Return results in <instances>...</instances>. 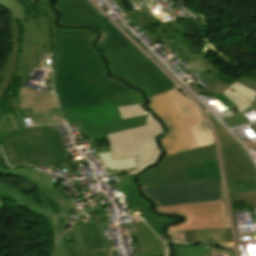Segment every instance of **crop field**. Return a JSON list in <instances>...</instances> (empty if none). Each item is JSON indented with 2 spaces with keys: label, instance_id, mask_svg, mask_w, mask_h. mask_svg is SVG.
I'll list each match as a JSON object with an SVG mask.
<instances>
[{
  "label": "crop field",
  "instance_id": "obj_37",
  "mask_svg": "<svg viewBox=\"0 0 256 256\" xmlns=\"http://www.w3.org/2000/svg\"><path fill=\"white\" fill-rule=\"evenodd\" d=\"M37 1H44V0H37Z\"/></svg>",
  "mask_w": 256,
  "mask_h": 256
},
{
  "label": "crop field",
  "instance_id": "obj_5",
  "mask_svg": "<svg viewBox=\"0 0 256 256\" xmlns=\"http://www.w3.org/2000/svg\"><path fill=\"white\" fill-rule=\"evenodd\" d=\"M118 108L123 119L148 114L141 104ZM161 132L159 122L148 114L145 126L107 135L114 160L137 156V168L128 176L154 164L160 151L154 139Z\"/></svg>",
  "mask_w": 256,
  "mask_h": 256
},
{
  "label": "crop field",
  "instance_id": "obj_30",
  "mask_svg": "<svg viewBox=\"0 0 256 256\" xmlns=\"http://www.w3.org/2000/svg\"><path fill=\"white\" fill-rule=\"evenodd\" d=\"M211 248V254L212 256L219 254V255H226V256H235L234 251L216 247V246H210Z\"/></svg>",
  "mask_w": 256,
  "mask_h": 256
},
{
  "label": "crop field",
  "instance_id": "obj_26",
  "mask_svg": "<svg viewBox=\"0 0 256 256\" xmlns=\"http://www.w3.org/2000/svg\"><path fill=\"white\" fill-rule=\"evenodd\" d=\"M86 249H102L95 224L82 227Z\"/></svg>",
  "mask_w": 256,
  "mask_h": 256
},
{
  "label": "crop field",
  "instance_id": "obj_1",
  "mask_svg": "<svg viewBox=\"0 0 256 256\" xmlns=\"http://www.w3.org/2000/svg\"><path fill=\"white\" fill-rule=\"evenodd\" d=\"M49 3L47 0L38 6L52 24L55 90L62 108L98 104L107 96L141 93L107 76L99 53L91 46L96 33L56 28V14Z\"/></svg>",
  "mask_w": 256,
  "mask_h": 256
},
{
  "label": "crop field",
  "instance_id": "obj_25",
  "mask_svg": "<svg viewBox=\"0 0 256 256\" xmlns=\"http://www.w3.org/2000/svg\"><path fill=\"white\" fill-rule=\"evenodd\" d=\"M176 248V256H211L210 248L206 245H186Z\"/></svg>",
  "mask_w": 256,
  "mask_h": 256
},
{
  "label": "crop field",
  "instance_id": "obj_15",
  "mask_svg": "<svg viewBox=\"0 0 256 256\" xmlns=\"http://www.w3.org/2000/svg\"><path fill=\"white\" fill-rule=\"evenodd\" d=\"M114 190H119L121 194H125V202L127 203L128 208L132 209V207H140L143 218L159 237L163 236L161 229L164 225L178 219L176 217L173 219H168L152 214L151 210L149 209V202L138 195L136 183L115 187Z\"/></svg>",
  "mask_w": 256,
  "mask_h": 256
},
{
  "label": "crop field",
  "instance_id": "obj_19",
  "mask_svg": "<svg viewBox=\"0 0 256 256\" xmlns=\"http://www.w3.org/2000/svg\"><path fill=\"white\" fill-rule=\"evenodd\" d=\"M223 95L227 97L240 112H242L254 102L256 91L236 81L223 93Z\"/></svg>",
  "mask_w": 256,
  "mask_h": 256
},
{
  "label": "crop field",
  "instance_id": "obj_17",
  "mask_svg": "<svg viewBox=\"0 0 256 256\" xmlns=\"http://www.w3.org/2000/svg\"><path fill=\"white\" fill-rule=\"evenodd\" d=\"M215 161H218L216 150L209 152L203 148H199L165 157L157 167L151 168L148 171Z\"/></svg>",
  "mask_w": 256,
  "mask_h": 256
},
{
  "label": "crop field",
  "instance_id": "obj_7",
  "mask_svg": "<svg viewBox=\"0 0 256 256\" xmlns=\"http://www.w3.org/2000/svg\"><path fill=\"white\" fill-rule=\"evenodd\" d=\"M112 74L121 76L133 86L145 88L147 97L176 86L134 45L105 55Z\"/></svg>",
  "mask_w": 256,
  "mask_h": 256
},
{
  "label": "crop field",
  "instance_id": "obj_11",
  "mask_svg": "<svg viewBox=\"0 0 256 256\" xmlns=\"http://www.w3.org/2000/svg\"><path fill=\"white\" fill-rule=\"evenodd\" d=\"M163 213L186 216V221L167 230L230 229L225 200L157 208Z\"/></svg>",
  "mask_w": 256,
  "mask_h": 256
},
{
  "label": "crop field",
  "instance_id": "obj_23",
  "mask_svg": "<svg viewBox=\"0 0 256 256\" xmlns=\"http://www.w3.org/2000/svg\"><path fill=\"white\" fill-rule=\"evenodd\" d=\"M72 234L76 251H69L70 256H98V250H85L82 229L77 222L72 227Z\"/></svg>",
  "mask_w": 256,
  "mask_h": 256
},
{
  "label": "crop field",
  "instance_id": "obj_33",
  "mask_svg": "<svg viewBox=\"0 0 256 256\" xmlns=\"http://www.w3.org/2000/svg\"><path fill=\"white\" fill-rule=\"evenodd\" d=\"M254 129L256 130V124L252 125ZM245 144L248 146L249 149H254L256 148V144L251 145L249 142H245Z\"/></svg>",
  "mask_w": 256,
  "mask_h": 256
},
{
  "label": "crop field",
  "instance_id": "obj_28",
  "mask_svg": "<svg viewBox=\"0 0 256 256\" xmlns=\"http://www.w3.org/2000/svg\"><path fill=\"white\" fill-rule=\"evenodd\" d=\"M18 130H19V128L16 123L15 117L6 113V110L3 115V113L0 109V135L11 133V132H16Z\"/></svg>",
  "mask_w": 256,
  "mask_h": 256
},
{
  "label": "crop field",
  "instance_id": "obj_12",
  "mask_svg": "<svg viewBox=\"0 0 256 256\" xmlns=\"http://www.w3.org/2000/svg\"><path fill=\"white\" fill-rule=\"evenodd\" d=\"M20 177H24L27 181L37 185L38 198L43 201L45 208L52 216L54 224V239L58 240L65 232L64 214L70 213V206L55 186V184L48 178V176L35 169L22 168Z\"/></svg>",
  "mask_w": 256,
  "mask_h": 256
},
{
  "label": "crop field",
  "instance_id": "obj_4",
  "mask_svg": "<svg viewBox=\"0 0 256 256\" xmlns=\"http://www.w3.org/2000/svg\"><path fill=\"white\" fill-rule=\"evenodd\" d=\"M2 148L12 166L54 165L63 162L65 155L56 144L52 126L26 128L0 136Z\"/></svg>",
  "mask_w": 256,
  "mask_h": 256
},
{
  "label": "crop field",
  "instance_id": "obj_14",
  "mask_svg": "<svg viewBox=\"0 0 256 256\" xmlns=\"http://www.w3.org/2000/svg\"><path fill=\"white\" fill-rule=\"evenodd\" d=\"M21 109H30L34 125L55 124L51 107H59L55 95L20 87Z\"/></svg>",
  "mask_w": 256,
  "mask_h": 256
},
{
  "label": "crop field",
  "instance_id": "obj_34",
  "mask_svg": "<svg viewBox=\"0 0 256 256\" xmlns=\"http://www.w3.org/2000/svg\"><path fill=\"white\" fill-rule=\"evenodd\" d=\"M99 256H108L107 249L99 250Z\"/></svg>",
  "mask_w": 256,
  "mask_h": 256
},
{
  "label": "crop field",
  "instance_id": "obj_32",
  "mask_svg": "<svg viewBox=\"0 0 256 256\" xmlns=\"http://www.w3.org/2000/svg\"><path fill=\"white\" fill-rule=\"evenodd\" d=\"M20 169H12V168H9L6 172H4L3 174L5 175H14V176H18L19 177V174H20Z\"/></svg>",
  "mask_w": 256,
  "mask_h": 256
},
{
  "label": "crop field",
  "instance_id": "obj_35",
  "mask_svg": "<svg viewBox=\"0 0 256 256\" xmlns=\"http://www.w3.org/2000/svg\"><path fill=\"white\" fill-rule=\"evenodd\" d=\"M3 208V201L0 200V210Z\"/></svg>",
  "mask_w": 256,
  "mask_h": 256
},
{
  "label": "crop field",
  "instance_id": "obj_20",
  "mask_svg": "<svg viewBox=\"0 0 256 256\" xmlns=\"http://www.w3.org/2000/svg\"><path fill=\"white\" fill-rule=\"evenodd\" d=\"M12 19H13L12 31H13V38H14L13 52L9 57V59L7 60L3 70L0 73V98L3 95V91H5V89L7 88L9 82L11 81L15 73V69L17 66V58L19 55V43H18V37H17L18 27L15 19L14 18Z\"/></svg>",
  "mask_w": 256,
  "mask_h": 256
},
{
  "label": "crop field",
  "instance_id": "obj_9",
  "mask_svg": "<svg viewBox=\"0 0 256 256\" xmlns=\"http://www.w3.org/2000/svg\"><path fill=\"white\" fill-rule=\"evenodd\" d=\"M232 203L256 206V170L237 143L222 149Z\"/></svg>",
  "mask_w": 256,
  "mask_h": 256
},
{
  "label": "crop field",
  "instance_id": "obj_21",
  "mask_svg": "<svg viewBox=\"0 0 256 256\" xmlns=\"http://www.w3.org/2000/svg\"><path fill=\"white\" fill-rule=\"evenodd\" d=\"M184 233L187 242H233L231 230H189Z\"/></svg>",
  "mask_w": 256,
  "mask_h": 256
},
{
  "label": "crop field",
  "instance_id": "obj_16",
  "mask_svg": "<svg viewBox=\"0 0 256 256\" xmlns=\"http://www.w3.org/2000/svg\"><path fill=\"white\" fill-rule=\"evenodd\" d=\"M162 39L158 40L168 46L174 44L179 49L176 50L182 57L187 58L193 54H196L191 45L183 37L187 32L175 21L159 24L150 28ZM161 43V44H162Z\"/></svg>",
  "mask_w": 256,
  "mask_h": 256
},
{
  "label": "crop field",
  "instance_id": "obj_3",
  "mask_svg": "<svg viewBox=\"0 0 256 256\" xmlns=\"http://www.w3.org/2000/svg\"><path fill=\"white\" fill-rule=\"evenodd\" d=\"M103 104L63 109L68 123H80L82 133L90 139L106 138L105 134L145 124L146 117L122 120L117 106L143 103L142 94L102 98ZM78 121V122H77Z\"/></svg>",
  "mask_w": 256,
  "mask_h": 256
},
{
  "label": "crop field",
  "instance_id": "obj_10",
  "mask_svg": "<svg viewBox=\"0 0 256 256\" xmlns=\"http://www.w3.org/2000/svg\"><path fill=\"white\" fill-rule=\"evenodd\" d=\"M143 192L157 207L225 199L222 184L213 180L143 189Z\"/></svg>",
  "mask_w": 256,
  "mask_h": 256
},
{
  "label": "crop field",
  "instance_id": "obj_8",
  "mask_svg": "<svg viewBox=\"0 0 256 256\" xmlns=\"http://www.w3.org/2000/svg\"><path fill=\"white\" fill-rule=\"evenodd\" d=\"M55 7L61 13L59 24L70 26L85 24L101 31L104 37L97 44L104 54L124 46L132 45L87 0H58Z\"/></svg>",
  "mask_w": 256,
  "mask_h": 256
},
{
  "label": "crop field",
  "instance_id": "obj_29",
  "mask_svg": "<svg viewBox=\"0 0 256 256\" xmlns=\"http://www.w3.org/2000/svg\"><path fill=\"white\" fill-rule=\"evenodd\" d=\"M252 108H256V101L254 102V104L249 108L247 109L246 111L244 112H247L249 111L250 109ZM242 112V113H244ZM241 114H238V115H235L233 117H227V118H223L222 120L230 127V128H234V127H237L239 125H242V124H245V123H248L247 119Z\"/></svg>",
  "mask_w": 256,
  "mask_h": 256
},
{
  "label": "crop field",
  "instance_id": "obj_27",
  "mask_svg": "<svg viewBox=\"0 0 256 256\" xmlns=\"http://www.w3.org/2000/svg\"><path fill=\"white\" fill-rule=\"evenodd\" d=\"M218 135L221 147H226L237 143V141L226 131V129L210 114L208 113Z\"/></svg>",
  "mask_w": 256,
  "mask_h": 256
},
{
  "label": "crop field",
  "instance_id": "obj_31",
  "mask_svg": "<svg viewBox=\"0 0 256 256\" xmlns=\"http://www.w3.org/2000/svg\"><path fill=\"white\" fill-rule=\"evenodd\" d=\"M237 81L256 90V82L255 81L248 80L244 77L239 78Z\"/></svg>",
  "mask_w": 256,
  "mask_h": 256
},
{
  "label": "crop field",
  "instance_id": "obj_22",
  "mask_svg": "<svg viewBox=\"0 0 256 256\" xmlns=\"http://www.w3.org/2000/svg\"><path fill=\"white\" fill-rule=\"evenodd\" d=\"M8 190H11V193H8ZM0 194L9 195L14 201L17 207H29L32 210L40 213L43 216L48 217V212L45 210L43 206L37 205L29 195L26 193L21 196L15 189L10 186L0 183ZM47 220H49L47 218Z\"/></svg>",
  "mask_w": 256,
  "mask_h": 256
},
{
  "label": "crop field",
  "instance_id": "obj_36",
  "mask_svg": "<svg viewBox=\"0 0 256 256\" xmlns=\"http://www.w3.org/2000/svg\"><path fill=\"white\" fill-rule=\"evenodd\" d=\"M8 168H6L5 170H7ZM5 170H3L2 167H0V173H3Z\"/></svg>",
  "mask_w": 256,
  "mask_h": 256
},
{
  "label": "crop field",
  "instance_id": "obj_6",
  "mask_svg": "<svg viewBox=\"0 0 256 256\" xmlns=\"http://www.w3.org/2000/svg\"><path fill=\"white\" fill-rule=\"evenodd\" d=\"M0 5L6 7L11 16L20 20L23 26L22 43H20V55L15 74V76L21 77L19 82V86H21L31 65L42 66L44 54H50L49 27L42 16L33 15L32 7L26 0H0Z\"/></svg>",
  "mask_w": 256,
  "mask_h": 256
},
{
  "label": "crop field",
  "instance_id": "obj_18",
  "mask_svg": "<svg viewBox=\"0 0 256 256\" xmlns=\"http://www.w3.org/2000/svg\"><path fill=\"white\" fill-rule=\"evenodd\" d=\"M120 227H132L141 248L136 250V256H164L163 243L145 223L120 224Z\"/></svg>",
  "mask_w": 256,
  "mask_h": 256
},
{
  "label": "crop field",
  "instance_id": "obj_2",
  "mask_svg": "<svg viewBox=\"0 0 256 256\" xmlns=\"http://www.w3.org/2000/svg\"><path fill=\"white\" fill-rule=\"evenodd\" d=\"M151 108L168 127L160 141L164 157L214 143L212 133L200 111L176 89L149 97Z\"/></svg>",
  "mask_w": 256,
  "mask_h": 256
},
{
  "label": "crop field",
  "instance_id": "obj_24",
  "mask_svg": "<svg viewBox=\"0 0 256 256\" xmlns=\"http://www.w3.org/2000/svg\"><path fill=\"white\" fill-rule=\"evenodd\" d=\"M97 155L102 159L105 168H110V170L116 169L118 171L127 168H136V157L113 161L111 152Z\"/></svg>",
  "mask_w": 256,
  "mask_h": 256
},
{
  "label": "crop field",
  "instance_id": "obj_13",
  "mask_svg": "<svg viewBox=\"0 0 256 256\" xmlns=\"http://www.w3.org/2000/svg\"><path fill=\"white\" fill-rule=\"evenodd\" d=\"M207 179L221 182L218 162L145 172L139 176L142 189Z\"/></svg>",
  "mask_w": 256,
  "mask_h": 256
}]
</instances>
